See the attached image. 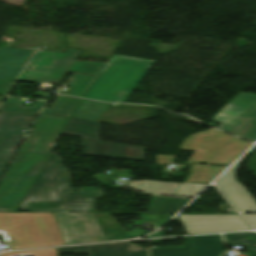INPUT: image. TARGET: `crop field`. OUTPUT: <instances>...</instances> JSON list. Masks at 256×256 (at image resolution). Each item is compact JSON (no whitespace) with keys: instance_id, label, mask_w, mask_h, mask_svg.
I'll list each match as a JSON object with an SVG mask.
<instances>
[{"instance_id":"23","label":"crop field","mask_w":256,"mask_h":256,"mask_svg":"<svg viewBox=\"0 0 256 256\" xmlns=\"http://www.w3.org/2000/svg\"><path fill=\"white\" fill-rule=\"evenodd\" d=\"M45 103L46 101H37L31 107H23V102L19 99L6 98L0 111L39 113Z\"/></svg>"},{"instance_id":"9","label":"crop field","mask_w":256,"mask_h":256,"mask_svg":"<svg viewBox=\"0 0 256 256\" xmlns=\"http://www.w3.org/2000/svg\"><path fill=\"white\" fill-rule=\"evenodd\" d=\"M178 217L187 234L251 229L239 215H179Z\"/></svg>"},{"instance_id":"29","label":"crop field","mask_w":256,"mask_h":256,"mask_svg":"<svg viewBox=\"0 0 256 256\" xmlns=\"http://www.w3.org/2000/svg\"><path fill=\"white\" fill-rule=\"evenodd\" d=\"M57 138L58 136L56 135L46 134L45 137H42V139L40 140L39 144L37 145L34 151L50 153Z\"/></svg>"},{"instance_id":"17","label":"crop field","mask_w":256,"mask_h":256,"mask_svg":"<svg viewBox=\"0 0 256 256\" xmlns=\"http://www.w3.org/2000/svg\"><path fill=\"white\" fill-rule=\"evenodd\" d=\"M190 199L152 195L146 214H175Z\"/></svg>"},{"instance_id":"3","label":"crop field","mask_w":256,"mask_h":256,"mask_svg":"<svg viewBox=\"0 0 256 256\" xmlns=\"http://www.w3.org/2000/svg\"><path fill=\"white\" fill-rule=\"evenodd\" d=\"M0 231L10 249L66 245L53 213H1Z\"/></svg>"},{"instance_id":"28","label":"crop field","mask_w":256,"mask_h":256,"mask_svg":"<svg viewBox=\"0 0 256 256\" xmlns=\"http://www.w3.org/2000/svg\"><path fill=\"white\" fill-rule=\"evenodd\" d=\"M25 255L58 256L56 252V248L0 254V256H25Z\"/></svg>"},{"instance_id":"32","label":"crop field","mask_w":256,"mask_h":256,"mask_svg":"<svg viewBox=\"0 0 256 256\" xmlns=\"http://www.w3.org/2000/svg\"><path fill=\"white\" fill-rule=\"evenodd\" d=\"M12 85L13 83L0 82V94L6 95V93L11 88Z\"/></svg>"},{"instance_id":"36","label":"crop field","mask_w":256,"mask_h":256,"mask_svg":"<svg viewBox=\"0 0 256 256\" xmlns=\"http://www.w3.org/2000/svg\"><path fill=\"white\" fill-rule=\"evenodd\" d=\"M25 73H33V74H41V75H49V76H57V77H62V76H59V75H51V74H43V73H35V72H27V71H23Z\"/></svg>"},{"instance_id":"30","label":"crop field","mask_w":256,"mask_h":256,"mask_svg":"<svg viewBox=\"0 0 256 256\" xmlns=\"http://www.w3.org/2000/svg\"><path fill=\"white\" fill-rule=\"evenodd\" d=\"M240 155L241 154L224 153L215 164L228 166Z\"/></svg>"},{"instance_id":"11","label":"crop field","mask_w":256,"mask_h":256,"mask_svg":"<svg viewBox=\"0 0 256 256\" xmlns=\"http://www.w3.org/2000/svg\"><path fill=\"white\" fill-rule=\"evenodd\" d=\"M105 64L106 63L74 61L68 71L75 73L68 83L70 84L69 92L65 94L83 97L86 90Z\"/></svg>"},{"instance_id":"22","label":"crop field","mask_w":256,"mask_h":256,"mask_svg":"<svg viewBox=\"0 0 256 256\" xmlns=\"http://www.w3.org/2000/svg\"><path fill=\"white\" fill-rule=\"evenodd\" d=\"M79 101L80 99L78 98L58 96L50 109L44 108L42 113L70 117L74 107Z\"/></svg>"},{"instance_id":"31","label":"crop field","mask_w":256,"mask_h":256,"mask_svg":"<svg viewBox=\"0 0 256 256\" xmlns=\"http://www.w3.org/2000/svg\"><path fill=\"white\" fill-rule=\"evenodd\" d=\"M176 156L158 155L156 158L157 164H174Z\"/></svg>"},{"instance_id":"7","label":"crop field","mask_w":256,"mask_h":256,"mask_svg":"<svg viewBox=\"0 0 256 256\" xmlns=\"http://www.w3.org/2000/svg\"><path fill=\"white\" fill-rule=\"evenodd\" d=\"M67 245L106 241L93 216L109 214L54 213Z\"/></svg>"},{"instance_id":"8","label":"crop field","mask_w":256,"mask_h":256,"mask_svg":"<svg viewBox=\"0 0 256 256\" xmlns=\"http://www.w3.org/2000/svg\"><path fill=\"white\" fill-rule=\"evenodd\" d=\"M35 116L0 112V162L9 163Z\"/></svg>"},{"instance_id":"27","label":"crop field","mask_w":256,"mask_h":256,"mask_svg":"<svg viewBox=\"0 0 256 256\" xmlns=\"http://www.w3.org/2000/svg\"><path fill=\"white\" fill-rule=\"evenodd\" d=\"M110 62H122V63H128V64H134V65H140V66H146V67H150V65L153 63L152 60L136 58V57H128V56H119V55H113Z\"/></svg>"},{"instance_id":"20","label":"crop field","mask_w":256,"mask_h":256,"mask_svg":"<svg viewBox=\"0 0 256 256\" xmlns=\"http://www.w3.org/2000/svg\"><path fill=\"white\" fill-rule=\"evenodd\" d=\"M79 53L69 49L51 68L26 66L24 70L64 75Z\"/></svg>"},{"instance_id":"4","label":"crop field","mask_w":256,"mask_h":256,"mask_svg":"<svg viewBox=\"0 0 256 256\" xmlns=\"http://www.w3.org/2000/svg\"><path fill=\"white\" fill-rule=\"evenodd\" d=\"M147 69L122 63H108L84 97L124 102Z\"/></svg>"},{"instance_id":"14","label":"crop field","mask_w":256,"mask_h":256,"mask_svg":"<svg viewBox=\"0 0 256 256\" xmlns=\"http://www.w3.org/2000/svg\"><path fill=\"white\" fill-rule=\"evenodd\" d=\"M100 125L98 122L71 118L63 134L83 137L85 154L98 156Z\"/></svg>"},{"instance_id":"26","label":"crop field","mask_w":256,"mask_h":256,"mask_svg":"<svg viewBox=\"0 0 256 256\" xmlns=\"http://www.w3.org/2000/svg\"><path fill=\"white\" fill-rule=\"evenodd\" d=\"M224 238L227 245L251 243V242H256V233L248 232V233L224 234Z\"/></svg>"},{"instance_id":"13","label":"crop field","mask_w":256,"mask_h":256,"mask_svg":"<svg viewBox=\"0 0 256 256\" xmlns=\"http://www.w3.org/2000/svg\"><path fill=\"white\" fill-rule=\"evenodd\" d=\"M58 253H89V256H147V250L130 251L129 242L57 248Z\"/></svg>"},{"instance_id":"35","label":"crop field","mask_w":256,"mask_h":256,"mask_svg":"<svg viewBox=\"0 0 256 256\" xmlns=\"http://www.w3.org/2000/svg\"><path fill=\"white\" fill-rule=\"evenodd\" d=\"M7 164L5 163H0V176L2 175L3 171L5 170Z\"/></svg>"},{"instance_id":"1","label":"crop field","mask_w":256,"mask_h":256,"mask_svg":"<svg viewBox=\"0 0 256 256\" xmlns=\"http://www.w3.org/2000/svg\"><path fill=\"white\" fill-rule=\"evenodd\" d=\"M69 175L60 160L51 153L40 174L33 183L20 209L29 212H94L96 199L103 191L96 187H80V193H72Z\"/></svg>"},{"instance_id":"5","label":"crop field","mask_w":256,"mask_h":256,"mask_svg":"<svg viewBox=\"0 0 256 256\" xmlns=\"http://www.w3.org/2000/svg\"><path fill=\"white\" fill-rule=\"evenodd\" d=\"M251 144L214 129L182 141L181 150L195 151L188 163L214 164L224 152L243 153Z\"/></svg>"},{"instance_id":"37","label":"crop field","mask_w":256,"mask_h":256,"mask_svg":"<svg viewBox=\"0 0 256 256\" xmlns=\"http://www.w3.org/2000/svg\"><path fill=\"white\" fill-rule=\"evenodd\" d=\"M114 223L115 225L121 230V231H125L122 227H120L112 218L111 216H108Z\"/></svg>"},{"instance_id":"25","label":"crop field","mask_w":256,"mask_h":256,"mask_svg":"<svg viewBox=\"0 0 256 256\" xmlns=\"http://www.w3.org/2000/svg\"><path fill=\"white\" fill-rule=\"evenodd\" d=\"M186 248L151 250V256H191V237H184Z\"/></svg>"},{"instance_id":"12","label":"crop field","mask_w":256,"mask_h":256,"mask_svg":"<svg viewBox=\"0 0 256 256\" xmlns=\"http://www.w3.org/2000/svg\"><path fill=\"white\" fill-rule=\"evenodd\" d=\"M153 116L154 107L151 106L110 104L98 122L122 125Z\"/></svg>"},{"instance_id":"21","label":"crop field","mask_w":256,"mask_h":256,"mask_svg":"<svg viewBox=\"0 0 256 256\" xmlns=\"http://www.w3.org/2000/svg\"><path fill=\"white\" fill-rule=\"evenodd\" d=\"M226 168L193 165L185 182L209 183Z\"/></svg>"},{"instance_id":"10","label":"crop field","mask_w":256,"mask_h":256,"mask_svg":"<svg viewBox=\"0 0 256 256\" xmlns=\"http://www.w3.org/2000/svg\"><path fill=\"white\" fill-rule=\"evenodd\" d=\"M245 156L224 173L217 180V183L228 199L240 212H256V201L245 190L244 186L238 183L234 178L235 171L243 162Z\"/></svg>"},{"instance_id":"2","label":"crop field","mask_w":256,"mask_h":256,"mask_svg":"<svg viewBox=\"0 0 256 256\" xmlns=\"http://www.w3.org/2000/svg\"><path fill=\"white\" fill-rule=\"evenodd\" d=\"M68 118L40 114L0 182V211L16 212L48 154L33 152L46 133L60 135Z\"/></svg>"},{"instance_id":"6","label":"crop field","mask_w":256,"mask_h":256,"mask_svg":"<svg viewBox=\"0 0 256 256\" xmlns=\"http://www.w3.org/2000/svg\"><path fill=\"white\" fill-rule=\"evenodd\" d=\"M213 120L222 123L219 129L256 141V96L241 92Z\"/></svg>"},{"instance_id":"34","label":"crop field","mask_w":256,"mask_h":256,"mask_svg":"<svg viewBox=\"0 0 256 256\" xmlns=\"http://www.w3.org/2000/svg\"><path fill=\"white\" fill-rule=\"evenodd\" d=\"M254 227H256V214H242Z\"/></svg>"},{"instance_id":"38","label":"crop field","mask_w":256,"mask_h":256,"mask_svg":"<svg viewBox=\"0 0 256 256\" xmlns=\"http://www.w3.org/2000/svg\"><path fill=\"white\" fill-rule=\"evenodd\" d=\"M3 99H4V97H1V96H0V106H1V104H2Z\"/></svg>"},{"instance_id":"33","label":"crop field","mask_w":256,"mask_h":256,"mask_svg":"<svg viewBox=\"0 0 256 256\" xmlns=\"http://www.w3.org/2000/svg\"><path fill=\"white\" fill-rule=\"evenodd\" d=\"M244 245L248 248L249 256H256V243Z\"/></svg>"},{"instance_id":"24","label":"crop field","mask_w":256,"mask_h":256,"mask_svg":"<svg viewBox=\"0 0 256 256\" xmlns=\"http://www.w3.org/2000/svg\"><path fill=\"white\" fill-rule=\"evenodd\" d=\"M63 54L37 51L28 65L51 67Z\"/></svg>"},{"instance_id":"15","label":"crop field","mask_w":256,"mask_h":256,"mask_svg":"<svg viewBox=\"0 0 256 256\" xmlns=\"http://www.w3.org/2000/svg\"><path fill=\"white\" fill-rule=\"evenodd\" d=\"M33 52L17 48H0V81L15 82Z\"/></svg>"},{"instance_id":"19","label":"crop field","mask_w":256,"mask_h":256,"mask_svg":"<svg viewBox=\"0 0 256 256\" xmlns=\"http://www.w3.org/2000/svg\"><path fill=\"white\" fill-rule=\"evenodd\" d=\"M109 104L83 99L77 107L73 117L97 121Z\"/></svg>"},{"instance_id":"16","label":"crop field","mask_w":256,"mask_h":256,"mask_svg":"<svg viewBox=\"0 0 256 256\" xmlns=\"http://www.w3.org/2000/svg\"><path fill=\"white\" fill-rule=\"evenodd\" d=\"M99 156L145 161V147L100 141Z\"/></svg>"},{"instance_id":"18","label":"crop field","mask_w":256,"mask_h":256,"mask_svg":"<svg viewBox=\"0 0 256 256\" xmlns=\"http://www.w3.org/2000/svg\"><path fill=\"white\" fill-rule=\"evenodd\" d=\"M221 251L220 235L192 237V256H219Z\"/></svg>"}]
</instances>
